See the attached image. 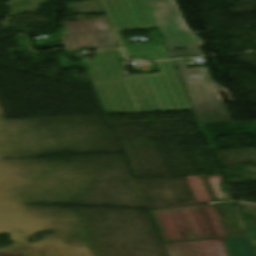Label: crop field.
<instances>
[{"label": "crop field", "instance_id": "obj_1", "mask_svg": "<svg viewBox=\"0 0 256 256\" xmlns=\"http://www.w3.org/2000/svg\"><path fill=\"white\" fill-rule=\"evenodd\" d=\"M156 63L158 75L92 81L104 108L125 113L192 109L172 62Z\"/></svg>", "mask_w": 256, "mask_h": 256}, {"label": "crop field", "instance_id": "obj_2", "mask_svg": "<svg viewBox=\"0 0 256 256\" xmlns=\"http://www.w3.org/2000/svg\"><path fill=\"white\" fill-rule=\"evenodd\" d=\"M150 213L165 242L230 237L214 204Z\"/></svg>", "mask_w": 256, "mask_h": 256}, {"label": "crop field", "instance_id": "obj_3", "mask_svg": "<svg viewBox=\"0 0 256 256\" xmlns=\"http://www.w3.org/2000/svg\"><path fill=\"white\" fill-rule=\"evenodd\" d=\"M173 62L200 125L232 122L215 84L211 82L206 68L186 69L182 60Z\"/></svg>", "mask_w": 256, "mask_h": 256}, {"label": "crop field", "instance_id": "obj_4", "mask_svg": "<svg viewBox=\"0 0 256 256\" xmlns=\"http://www.w3.org/2000/svg\"><path fill=\"white\" fill-rule=\"evenodd\" d=\"M168 50L205 46L181 15L176 0H146Z\"/></svg>", "mask_w": 256, "mask_h": 256}, {"label": "crop field", "instance_id": "obj_5", "mask_svg": "<svg viewBox=\"0 0 256 256\" xmlns=\"http://www.w3.org/2000/svg\"><path fill=\"white\" fill-rule=\"evenodd\" d=\"M115 31L157 27L145 0H101Z\"/></svg>", "mask_w": 256, "mask_h": 256}, {"label": "crop field", "instance_id": "obj_6", "mask_svg": "<svg viewBox=\"0 0 256 256\" xmlns=\"http://www.w3.org/2000/svg\"><path fill=\"white\" fill-rule=\"evenodd\" d=\"M170 256H228L221 239L165 244Z\"/></svg>", "mask_w": 256, "mask_h": 256}, {"label": "crop field", "instance_id": "obj_7", "mask_svg": "<svg viewBox=\"0 0 256 256\" xmlns=\"http://www.w3.org/2000/svg\"><path fill=\"white\" fill-rule=\"evenodd\" d=\"M87 50L119 47L112 32L81 34Z\"/></svg>", "mask_w": 256, "mask_h": 256}, {"label": "crop field", "instance_id": "obj_8", "mask_svg": "<svg viewBox=\"0 0 256 256\" xmlns=\"http://www.w3.org/2000/svg\"><path fill=\"white\" fill-rule=\"evenodd\" d=\"M127 57L154 56L155 60L168 59L164 45L123 48Z\"/></svg>", "mask_w": 256, "mask_h": 256}, {"label": "crop field", "instance_id": "obj_9", "mask_svg": "<svg viewBox=\"0 0 256 256\" xmlns=\"http://www.w3.org/2000/svg\"><path fill=\"white\" fill-rule=\"evenodd\" d=\"M222 240L229 256H255L247 237Z\"/></svg>", "mask_w": 256, "mask_h": 256}, {"label": "crop field", "instance_id": "obj_10", "mask_svg": "<svg viewBox=\"0 0 256 256\" xmlns=\"http://www.w3.org/2000/svg\"><path fill=\"white\" fill-rule=\"evenodd\" d=\"M186 180L197 203L214 201L202 176H190Z\"/></svg>", "mask_w": 256, "mask_h": 256}, {"label": "crop field", "instance_id": "obj_11", "mask_svg": "<svg viewBox=\"0 0 256 256\" xmlns=\"http://www.w3.org/2000/svg\"><path fill=\"white\" fill-rule=\"evenodd\" d=\"M221 210H222V213L225 217V220L227 222V225L230 229V232L232 234L233 237H236V236H243L245 235L244 233V230L241 226V223L238 219V216L236 214V211L233 207L232 204H227V205H219ZM233 216H236V219L238 221H236ZM237 223H240V226L237 225Z\"/></svg>", "mask_w": 256, "mask_h": 256}, {"label": "crop field", "instance_id": "obj_12", "mask_svg": "<svg viewBox=\"0 0 256 256\" xmlns=\"http://www.w3.org/2000/svg\"><path fill=\"white\" fill-rule=\"evenodd\" d=\"M70 36H65L70 47V50H74L82 46V41L79 32H86L81 21L64 23Z\"/></svg>", "mask_w": 256, "mask_h": 256}, {"label": "crop field", "instance_id": "obj_13", "mask_svg": "<svg viewBox=\"0 0 256 256\" xmlns=\"http://www.w3.org/2000/svg\"><path fill=\"white\" fill-rule=\"evenodd\" d=\"M217 201L232 200L230 195L220 188L223 180L221 175L205 176Z\"/></svg>", "mask_w": 256, "mask_h": 256}, {"label": "crop field", "instance_id": "obj_14", "mask_svg": "<svg viewBox=\"0 0 256 256\" xmlns=\"http://www.w3.org/2000/svg\"><path fill=\"white\" fill-rule=\"evenodd\" d=\"M78 14L104 13L98 0L73 2Z\"/></svg>", "mask_w": 256, "mask_h": 256}, {"label": "crop field", "instance_id": "obj_15", "mask_svg": "<svg viewBox=\"0 0 256 256\" xmlns=\"http://www.w3.org/2000/svg\"><path fill=\"white\" fill-rule=\"evenodd\" d=\"M88 32L110 31L105 20H87L83 21Z\"/></svg>", "mask_w": 256, "mask_h": 256}, {"label": "crop field", "instance_id": "obj_16", "mask_svg": "<svg viewBox=\"0 0 256 256\" xmlns=\"http://www.w3.org/2000/svg\"><path fill=\"white\" fill-rule=\"evenodd\" d=\"M172 58H188L203 56L200 49L169 51Z\"/></svg>", "mask_w": 256, "mask_h": 256}, {"label": "crop field", "instance_id": "obj_17", "mask_svg": "<svg viewBox=\"0 0 256 256\" xmlns=\"http://www.w3.org/2000/svg\"><path fill=\"white\" fill-rule=\"evenodd\" d=\"M248 233H249L250 238H251V240L253 242V245H254V247L256 249V231H250Z\"/></svg>", "mask_w": 256, "mask_h": 256}, {"label": "crop field", "instance_id": "obj_18", "mask_svg": "<svg viewBox=\"0 0 256 256\" xmlns=\"http://www.w3.org/2000/svg\"><path fill=\"white\" fill-rule=\"evenodd\" d=\"M70 4H71V6H69L68 3H67V6H68V8H69L71 14H73L71 10H73L74 14H77L76 11H75V9H74L73 4H72V3H70Z\"/></svg>", "mask_w": 256, "mask_h": 256}, {"label": "crop field", "instance_id": "obj_19", "mask_svg": "<svg viewBox=\"0 0 256 256\" xmlns=\"http://www.w3.org/2000/svg\"><path fill=\"white\" fill-rule=\"evenodd\" d=\"M95 16H96L97 18L103 17V15H92V16H89V18H95ZM82 17L87 19V16H82Z\"/></svg>", "mask_w": 256, "mask_h": 256}, {"label": "crop field", "instance_id": "obj_20", "mask_svg": "<svg viewBox=\"0 0 256 256\" xmlns=\"http://www.w3.org/2000/svg\"><path fill=\"white\" fill-rule=\"evenodd\" d=\"M62 35H63L64 41H65V44H66L67 50H68V51H70V50H69V48H68L67 42H66V40H65V37H64V35H68V34H62Z\"/></svg>", "mask_w": 256, "mask_h": 256}, {"label": "crop field", "instance_id": "obj_21", "mask_svg": "<svg viewBox=\"0 0 256 256\" xmlns=\"http://www.w3.org/2000/svg\"><path fill=\"white\" fill-rule=\"evenodd\" d=\"M76 17H77V19H78V20L82 19V17H81V16H76Z\"/></svg>", "mask_w": 256, "mask_h": 256}]
</instances>
